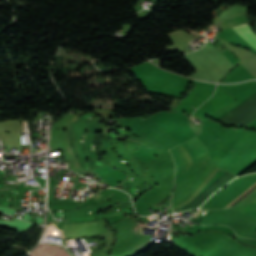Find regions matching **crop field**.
Segmentation results:
<instances>
[{
  "label": "crop field",
  "mask_w": 256,
  "mask_h": 256,
  "mask_svg": "<svg viewBox=\"0 0 256 256\" xmlns=\"http://www.w3.org/2000/svg\"><path fill=\"white\" fill-rule=\"evenodd\" d=\"M214 99L218 104L219 108L233 102V100L226 93L214 96Z\"/></svg>",
  "instance_id": "3"
},
{
  "label": "crop field",
  "mask_w": 256,
  "mask_h": 256,
  "mask_svg": "<svg viewBox=\"0 0 256 256\" xmlns=\"http://www.w3.org/2000/svg\"><path fill=\"white\" fill-rule=\"evenodd\" d=\"M240 36H242L251 46L256 49V36L250 30L248 24L232 27Z\"/></svg>",
  "instance_id": "2"
},
{
  "label": "crop field",
  "mask_w": 256,
  "mask_h": 256,
  "mask_svg": "<svg viewBox=\"0 0 256 256\" xmlns=\"http://www.w3.org/2000/svg\"><path fill=\"white\" fill-rule=\"evenodd\" d=\"M190 152L198 159L199 157L205 155L208 152V149L204 144L196 137L183 143Z\"/></svg>",
  "instance_id": "1"
},
{
  "label": "crop field",
  "mask_w": 256,
  "mask_h": 256,
  "mask_svg": "<svg viewBox=\"0 0 256 256\" xmlns=\"http://www.w3.org/2000/svg\"><path fill=\"white\" fill-rule=\"evenodd\" d=\"M61 236H62L63 239L65 238V236H64V230H61Z\"/></svg>",
  "instance_id": "5"
},
{
  "label": "crop field",
  "mask_w": 256,
  "mask_h": 256,
  "mask_svg": "<svg viewBox=\"0 0 256 256\" xmlns=\"http://www.w3.org/2000/svg\"><path fill=\"white\" fill-rule=\"evenodd\" d=\"M248 202H256V190L252 192L249 196L239 202L237 205L248 203ZM236 206V205H235Z\"/></svg>",
  "instance_id": "4"
}]
</instances>
